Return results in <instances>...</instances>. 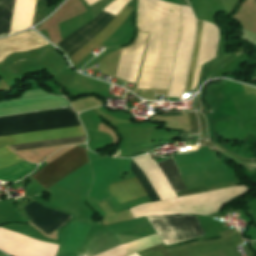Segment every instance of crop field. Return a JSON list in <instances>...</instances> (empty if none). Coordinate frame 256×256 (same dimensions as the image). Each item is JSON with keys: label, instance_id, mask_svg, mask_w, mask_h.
<instances>
[{"label": "crop field", "instance_id": "crop-field-9", "mask_svg": "<svg viewBox=\"0 0 256 256\" xmlns=\"http://www.w3.org/2000/svg\"><path fill=\"white\" fill-rule=\"evenodd\" d=\"M35 6L36 0L15 1L10 35L32 26Z\"/></svg>", "mask_w": 256, "mask_h": 256}, {"label": "crop field", "instance_id": "crop-field-14", "mask_svg": "<svg viewBox=\"0 0 256 256\" xmlns=\"http://www.w3.org/2000/svg\"><path fill=\"white\" fill-rule=\"evenodd\" d=\"M182 1H183L184 4H186V5H189V4H190V3L188 4V2H187L186 0H182Z\"/></svg>", "mask_w": 256, "mask_h": 256}, {"label": "crop field", "instance_id": "crop-field-1", "mask_svg": "<svg viewBox=\"0 0 256 256\" xmlns=\"http://www.w3.org/2000/svg\"><path fill=\"white\" fill-rule=\"evenodd\" d=\"M80 125L72 108L0 117V136ZM85 135L81 126L0 137V146ZM24 161L8 146L0 149V169Z\"/></svg>", "mask_w": 256, "mask_h": 256}, {"label": "crop field", "instance_id": "crop-field-11", "mask_svg": "<svg viewBox=\"0 0 256 256\" xmlns=\"http://www.w3.org/2000/svg\"><path fill=\"white\" fill-rule=\"evenodd\" d=\"M86 141L85 136L10 146L14 151Z\"/></svg>", "mask_w": 256, "mask_h": 256}, {"label": "crop field", "instance_id": "crop-field-6", "mask_svg": "<svg viewBox=\"0 0 256 256\" xmlns=\"http://www.w3.org/2000/svg\"><path fill=\"white\" fill-rule=\"evenodd\" d=\"M24 209L31 223L48 235L64 226L72 217L67 214L51 210L35 201L25 206Z\"/></svg>", "mask_w": 256, "mask_h": 256}, {"label": "crop field", "instance_id": "crop-field-8", "mask_svg": "<svg viewBox=\"0 0 256 256\" xmlns=\"http://www.w3.org/2000/svg\"><path fill=\"white\" fill-rule=\"evenodd\" d=\"M87 162V149L75 147L49 165L63 179Z\"/></svg>", "mask_w": 256, "mask_h": 256}, {"label": "crop field", "instance_id": "crop-field-4", "mask_svg": "<svg viewBox=\"0 0 256 256\" xmlns=\"http://www.w3.org/2000/svg\"><path fill=\"white\" fill-rule=\"evenodd\" d=\"M147 219L165 245L205 235L196 215H157Z\"/></svg>", "mask_w": 256, "mask_h": 256}, {"label": "crop field", "instance_id": "crop-field-7", "mask_svg": "<svg viewBox=\"0 0 256 256\" xmlns=\"http://www.w3.org/2000/svg\"><path fill=\"white\" fill-rule=\"evenodd\" d=\"M47 44L49 43L33 30L13 37L0 39V62L12 53L37 49Z\"/></svg>", "mask_w": 256, "mask_h": 256}, {"label": "crop field", "instance_id": "crop-field-3", "mask_svg": "<svg viewBox=\"0 0 256 256\" xmlns=\"http://www.w3.org/2000/svg\"><path fill=\"white\" fill-rule=\"evenodd\" d=\"M159 165L168 180L170 181L171 185L173 186L175 192L187 190V187L174 163L173 158L161 162L159 163ZM131 170L135 177L138 179V181L141 183V185L144 187L152 201L159 200L142 169L139 167L134 159L131 164ZM136 178L128 181H122L118 184L111 186L110 191L120 204L147 195L145 190L136 180Z\"/></svg>", "mask_w": 256, "mask_h": 256}, {"label": "crop field", "instance_id": "crop-field-13", "mask_svg": "<svg viewBox=\"0 0 256 256\" xmlns=\"http://www.w3.org/2000/svg\"><path fill=\"white\" fill-rule=\"evenodd\" d=\"M203 23H204V21L198 20L197 39H196L195 49H194L193 58H192V62H191V68H190L188 83H187V87H186V92L191 90V87H192L193 76H194V71H195V66H196V60H197V55H198V50H199V44H200V39H201V34H202Z\"/></svg>", "mask_w": 256, "mask_h": 256}, {"label": "crop field", "instance_id": "crop-field-10", "mask_svg": "<svg viewBox=\"0 0 256 256\" xmlns=\"http://www.w3.org/2000/svg\"><path fill=\"white\" fill-rule=\"evenodd\" d=\"M14 1L0 0V37L9 35Z\"/></svg>", "mask_w": 256, "mask_h": 256}, {"label": "crop field", "instance_id": "crop-field-12", "mask_svg": "<svg viewBox=\"0 0 256 256\" xmlns=\"http://www.w3.org/2000/svg\"><path fill=\"white\" fill-rule=\"evenodd\" d=\"M35 180H37L43 187L47 190L52 187L55 183L62 180L53 170L47 165L35 175L32 176Z\"/></svg>", "mask_w": 256, "mask_h": 256}, {"label": "crop field", "instance_id": "crop-field-15", "mask_svg": "<svg viewBox=\"0 0 256 256\" xmlns=\"http://www.w3.org/2000/svg\"><path fill=\"white\" fill-rule=\"evenodd\" d=\"M183 91H184V89H183ZM183 91H182V95H181V97L183 96Z\"/></svg>", "mask_w": 256, "mask_h": 256}, {"label": "crop field", "instance_id": "crop-field-5", "mask_svg": "<svg viewBox=\"0 0 256 256\" xmlns=\"http://www.w3.org/2000/svg\"><path fill=\"white\" fill-rule=\"evenodd\" d=\"M63 97H55L41 89L25 92L21 99L0 102V115L68 106Z\"/></svg>", "mask_w": 256, "mask_h": 256}, {"label": "crop field", "instance_id": "crop-field-2", "mask_svg": "<svg viewBox=\"0 0 256 256\" xmlns=\"http://www.w3.org/2000/svg\"><path fill=\"white\" fill-rule=\"evenodd\" d=\"M131 8L124 7L123 10L116 15L103 10L95 19L88 24L78 29L74 33L67 36L58 45L69 55V57L81 48L85 43L92 39L97 33H99L105 26H107L113 19V21L104 28L98 35L90 40L86 45L79 49L70 58L74 65L80 62L85 56L93 51L98 45H100L105 39L113 34L119 25L128 16Z\"/></svg>", "mask_w": 256, "mask_h": 256}]
</instances>
